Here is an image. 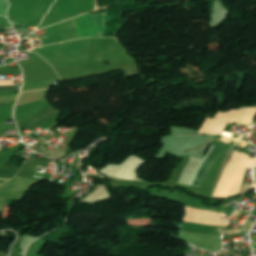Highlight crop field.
Segmentation results:
<instances>
[{"instance_id": "obj_2", "label": "crop field", "mask_w": 256, "mask_h": 256, "mask_svg": "<svg viewBox=\"0 0 256 256\" xmlns=\"http://www.w3.org/2000/svg\"><path fill=\"white\" fill-rule=\"evenodd\" d=\"M221 150L220 147H216L214 146V148L212 149L211 153L209 154V156L207 157V159L205 160V162L203 163V165L201 166V168L199 169L193 183L192 186H200V183L205 175V173L207 172L208 168L210 167L213 159L216 157V155L218 154V152Z\"/></svg>"}, {"instance_id": "obj_1", "label": "crop field", "mask_w": 256, "mask_h": 256, "mask_svg": "<svg viewBox=\"0 0 256 256\" xmlns=\"http://www.w3.org/2000/svg\"><path fill=\"white\" fill-rule=\"evenodd\" d=\"M57 112H59V111H57L55 108L50 106L47 109L40 112L39 114L30 118L29 120L23 122L21 125L32 130L35 127H37L38 125H40L42 122H44L45 120H47L48 118H50L51 116L56 114Z\"/></svg>"}, {"instance_id": "obj_3", "label": "crop field", "mask_w": 256, "mask_h": 256, "mask_svg": "<svg viewBox=\"0 0 256 256\" xmlns=\"http://www.w3.org/2000/svg\"><path fill=\"white\" fill-rule=\"evenodd\" d=\"M21 86H0V91L19 90Z\"/></svg>"}]
</instances>
